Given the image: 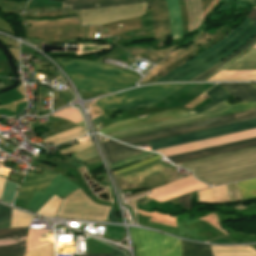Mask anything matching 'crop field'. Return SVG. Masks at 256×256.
Here are the masks:
<instances>
[{
	"instance_id": "crop-field-31",
	"label": "crop field",
	"mask_w": 256,
	"mask_h": 256,
	"mask_svg": "<svg viewBox=\"0 0 256 256\" xmlns=\"http://www.w3.org/2000/svg\"><path fill=\"white\" fill-rule=\"evenodd\" d=\"M111 249H112L113 256H125V253H123V252H121V251H119L117 249H114L112 247H111Z\"/></svg>"
},
{
	"instance_id": "crop-field-16",
	"label": "crop field",
	"mask_w": 256,
	"mask_h": 256,
	"mask_svg": "<svg viewBox=\"0 0 256 256\" xmlns=\"http://www.w3.org/2000/svg\"><path fill=\"white\" fill-rule=\"evenodd\" d=\"M151 8L154 38L160 41L165 39L169 30V17L165 0H146Z\"/></svg>"
},
{
	"instance_id": "crop-field-15",
	"label": "crop field",
	"mask_w": 256,
	"mask_h": 256,
	"mask_svg": "<svg viewBox=\"0 0 256 256\" xmlns=\"http://www.w3.org/2000/svg\"><path fill=\"white\" fill-rule=\"evenodd\" d=\"M256 146V138L243 141L233 142L229 144L219 145L215 147L205 148L201 150L191 151L187 153L168 156L171 161L178 163L187 160L197 159L201 157L211 156L215 154L225 153L229 151L239 150L243 148Z\"/></svg>"
},
{
	"instance_id": "crop-field-7",
	"label": "crop field",
	"mask_w": 256,
	"mask_h": 256,
	"mask_svg": "<svg viewBox=\"0 0 256 256\" xmlns=\"http://www.w3.org/2000/svg\"><path fill=\"white\" fill-rule=\"evenodd\" d=\"M55 59L57 61L73 60V61L80 62V63H77V62L59 61L68 72L98 79V80L119 86L123 89L132 87L140 80V77L136 75H133L124 70L117 69V68L110 67L103 64L81 61L76 59H66V58H55ZM113 73L121 74L124 77L115 75Z\"/></svg>"
},
{
	"instance_id": "crop-field-9",
	"label": "crop field",
	"mask_w": 256,
	"mask_h": 256,
	"mask_svg": "<svg viewBox=\"0 0 256 256\" xmlns=\"http://www.w3.org/2000/svg\"><path fill=\"white\" fill-rule=\"evenodd\" d=\"M109 207L94 203L82 189L66 197L56 216L77 220L105 221Z\"/></svg>"
},
{
	"instance_id": "crop-field-30",
	"label": "crop field",
	"mask_w": 256,
	"mask_h": 256,
	"mask_svg": "<svg viewBox=\"0 0 256 256\" xmlns=\"http://www.w3.org/2000/svg\"><path fill=\"white\" fill-rule=\"evenodd\" d=\"M107 220L119 222L117 219L116 213L114 211L113 205H111Z\"/></svg>"
},
{
	"instance_id": "crop-field-24",
	"label": "crop field",
	"mask_w": 256,
	"mask_h": 256,
	"mask_svg": "<svg viewBox=\"0 0 256 256\" xmlns=\"http://www.w3.org/2000/svg\"><path fill=\"white\" fill-rule=\"evenodd\" d=\"M189 15V32L195 29L202 17L200 0H185Z\"/></svg>"
},
{
	"instance_id": "crop-field-4",
	"label": "crop field",
	"mask_w": 256,
	"mask_h": 256,
	"mask_svg": "<svg viewBox=\"0 0 256 256\" xmlns=\"http://www.w3.org/2000/svg\"><path fill=\"white\" fill-rule=\"evenodd\" d=\"M183 85L184 84H159L140 87L124 93L102 98L98 100L97 105L104 111L153 107ZM117 100H124V102L109 103V101Z\"/></svg>"
},
{
	"instance_id": "crop-field-17",
	"label": "crop field",
	"mask_w": 256,
	"mask_h": 256,
	"mask_svg": "<svg viewBox=\"0 0 256 256\" xmlns=\"http://www.w3.org/2000/svg\"><path fill=\"white\" fill-rule=\"evenodd\" d=\"M108 158L109 164L116 163L123 159L143 153L144 151L136 150L130 146L119 144L113 140L102 144Z\"/></svg>"
},
{
	"instance_id": "crop-field-22",
	"label": "crop field",
	"mask_w": 256,
	"mask_h": 256,
	"mask_svg": "<svg viewBox=\"0 0 256 256\" xmlns=\"http://www.w3.org/2000/svg\"><path fill=\"white\" fill-rule=\"evenodd\" d=\"M243 67H256V49H250L245 54L231 62L224 68H243ZM223 68V69H224ZM243 69H256V68H243ZM224 70H241V69H224Z\"/></svg>"
},
{
	"instance_id": "crop-field-35",
	"label": "crop field",
	"mask_w": 256,
	"mask_h": 256,
	"mask_svg": "<svg viewBox=\"0 0 256 256\" xmlns=\"http://www.w3.org/2000/svg\"><path fill=\"white\" fill-rule=\"evenodd\" d=\"M243 1H247V2L253 3L254 0H243Z\"/></svg>"
},
{
	"instance_id": "crop-field-33",
	"label": "crop field",
	"mask_w": 256,
	"mask_h": 256,
	"mask_svg": "<svg viewBox=\"0 0 256 256\" xmlns=\"http://www.w3.org/2000/svg\"><path fill=\"white\" fill-rule=\"evenodd\" d=\"M248 17L256 19V7L253 6L250 14L248 15Z\"/></svg>"
},
{
	"instance_id": "crop-field-12",
	"label": "crop field",
	"mask_w": 256,
	"mask_h": 256,
	"mask_svg": "<svg viewBox=\"0 0 256 256\" xmlns=\"http://www.w3.org/2000/svg\"><path fill=\"white\" fill-rule=\"evenodd\" d=\"M256 128V119L148 142L153 150ZM146 144V143H143ZM142 145V144H138ZM134 145V146H138Z\"/></svg>"
},
{
	"instance_id": "crop-field-28",
	"label": "crop field",
	"mask_w": 256,
	"mask_h": 256,
	"mask_svg": "<svg viewBox=\"0 0 256 256\" xmlns=\"http://www.w3.org/2000/svg\"><path fill=\"white\" fill-rule=\"evenodd\" d=\"M159 158H162V157L159 156V155H157V156H155V157H153V158H150V159L141 161V162H139V163L130 165V166H128V167H126V168H123V169H120V170H118V171H114L113 173H114V175H116V174H119V173L127 172V171H129V170L136 169V168H138V167H140V166H142V165H144V164H147V163H149V162H151V161H154V160H157V159H159Z\"/></svg>"
},
{
	"instance_id": "crop-field-25",
	"label": "crop field",
	"mask_w": 256,
	"mask_h": 256,
	"mask_svg": "<svg viewBox=\"0 0 256 256\" xmlns=\"http://www.w3.org/2000/svg\"><path fill=\"white\" fill-rule=\"evenodd\" d=\"M244 200L256 197V178L237 182Z\"/></svg>"
},
{
	"instance_id": "crop-field-37",
	"label": "crop field",
	"mask_w": 256,
	"mask_h": 256,
	"mask_svg": "<svg viewBox=\"0 0 256 256\" xmlns=\"http://www.w3.org/2000/svg\"><path fill=\"white\" fill-rule=\"evenodd\" d=\"M255 84V86H256V83H254Z\"/></svg>"
},
{
	"instance_id": "crop-field-2",
	"label": "crop field",
	"mask_w": 256,
	"mask_h": 256,
	"mask_svg": "<svg viewBox=\"0 0 256 256\" xmlns=\"http://www.w3.org/2000/svg\"><path fill=\"white\" fill-rule=\"evenodd\" d=\"M220 85L225 90H227L234 98L240 97L242 102L256 101V88L253 86L252 83H224V84H220ZM226 103H227V100H226L225 104ZM228 106H230V107H228ZM228 106L224 105V102H221V103H218V104H216V105L208 108L207 110H205L199 114H196V115L182 117V118L173 119V120L164 121V122L155 123V124H150V125H146V126L128 129V130L118 131V132L109 133V134H105V135L108 137H111L113 139H117V138H121V137H125V136H130V135H134V134H138V133H143V132H147V131H151V130H156V129H160V128H165V127H169V126H173V125H178V124H182V123H186V122L203 119V118H205L221 109H224L226 107H228V108L221 110L207 118L256 108V102H254L252 104L249 102L235 103V104H229Z\"/></svg>"
},
{
	"instance_id": "crop-field-3",
	"label": "crop field",
	"mask_w": 256,
	"mask_h": 256,
	"mask_svg": "<svg viewBox=\"0 0 256 256\" xmlns=\"http://www.w3.org/2000/svg\"><path fill=\"white\" fill-rule=\"evenodd\" d=\"M145 0H65V8H95L142 3ZM146 3L82 10L83 24H104L145 14Z\"/></svg>"
},
{
	"instance_id": "crop-field-6",
	"label": "crop field",
	"mask_w": 256,
	"mask_h": 256,
	"mask_svg": "<svg viewBox=\"0 0 256 256\" xmlns=\"http://www.w3.org/2000/svg\"><path fill=\"white\" fill-rule=\"evenodd\" d=\"M256 118V109L246 112H241L237 114L227 115L223 117H218L214 119H209L205 121L195 122L191 124H186L182 126H177L173 128L163 129L159 131H154L150 133H145L141 135L131 136L127 138L118 139L130 145L148 142L152 140H157L161 138L171 137L175 135H180L184 133L194 132L198 130H203L207 128L217 127L221 125L231 124L235 122H240L244 120Z\"/></svg>"
},
{
	"instance_id": "crop-field-13",
	"label": "crop field",
	"mask_w": 256,
	"mask_h": 256,
	"mask_svg": "<svg viewBox=\"0 0 256 256\" xmlns=\"http://www.w3.org/2000/svg\"><path fill=\"white\" fill-rule=\"evenodd\" d=\"M56 175L57 173L48 170L41 175L28 172L25 182L17 193L14 205L24 209L35 191L43 192Z\"/></svg>"
},
{
	"instance_id": "crop-field-19",
	"label": "crop field",
	"mask_w": 256,
	"mask_h": 256,
	"mask_svg": "<svg viewBox=\"0 0 256 256\" xmlns=\"http://www.w3.org/2000/svg\"><path fill=\"white\" fill-rule=\"evenodd\" d=\"M70 76L74 79L79 89L81 90H85L89 92H112V91L120 90L119 88H116L98 81L74 76L71 74Z\"/></svg>"
},
{
	"instance_id": "crop-field-34",
	"label": "crop field",
	"mask_w": 256,
	"mask_h": 256,
	"mask_svg": "<svg viewBox=\"0 0 256 256\" xmlns=\"http://www.w3.org/2000/svg\"><path fill=\"white\" fill-rule=\"evenodd\" d=\"M78 256H112L111 254H101V255H78Z\"/></svg>"
},
{
	"instance_id": "crop-field-27",
	"label": "crop field",
	"mask_w": 256,
	"mask_h": 256,
	"mask_svg": "<svg viewBox=\"0 0 256 256\" xmlns=\"http://www.w3.org/2000/svg\"><path fill=\"white\" fill-rule=\"evenodd\" d=\"M69 156H71V157H73V158L83 162V161H86L88 159L94 158L97 155H96L93 147L91 146L89 148H86L84 150L78 151V152H76L74 154H71Z\"/></svg>"
},
{
	"instance_id": "crop-field-38",
	"label": "crop field",
	"mask_w": 256,
	"mask_h": 256,
	"mask_svg": "<svg viewBox=\"0 0 256 256\" xmlns=\"http://www.w3.org/2000/svg\"><path fill=\"white\" fill-rule=\"evenodd\" d=\"M251 247V246H250Z\"/></svg>"
},
{
	"instance_id": "crop-field-11",
	"label": "crop field",
	"mask_w": 256,
	"mask_h": 256,
	"mask_svg": "<svg viewBox=\"0 0 256 256\" xmlns=\"http://www.w3.org/2000/svg\"><path fill=\"white\" fill-rule=\"evenodd\" d=\"M12 209L0 204V229L10 227ZM28 228L0 230V256H23Z\"/></svg>"
},
{
	"instance_id": "crop-field-20",
	"label": "crop field",
	"mask_w": 256,
	"mask_h": 256,
	"mask_svg": "<svg viewBox=\"0 0 256 256\" xmlns=\"http://www.w3.org/2000/svg\"><path fill=\"white\" fill-rule=\"evenodd\" d=\"M172 39L182 37L180 11L177 0H166Z\"/></svg>"
},
{
	"instance_id": "crop-field-21",
	"label": "crop field",
	"mask_w": 256,
	"mask_h": 256,
	"mask_svg": "<svg viewBox=\"0 0 256 256\" xmlns=\"http://www.w3.org/2000/svg\"><path fill=\"white\" fill-rule=\"evenodd\" d=\"M255 43H256V36L251 41H249L243 48H241L239 51H237L236 53H234L231 56L227 57L225 60H223L222 62L218 63L216 66L214 65L215 67L209 69L208 71L202 73L201 75L195 77L194 79H192L190 81H203V80H205L210 75H212L213 73H215L216 71H218L219 69L224 67L226 64H228L229 62H231L232 60L237 58L242 53H244L247 49H249Z\"/></svg>"
},
{
	"instance_id": "crop-field-29",
	"label": "crop field",
	"mask_w": 256,
	"mask_h": 256,
	"mask_svg": "<svg viewBox=\"0 0 256 256\" xmlns=\"http://www.w3.org/2000/svg\"><path fill=\"white\" fill-rule=\"evenodd\" d=\"M179 203L181 204V206H183V207H185L187 209H191L190 193L180 197L179 198Z\"/></svg>"
},
{
	"instance_id": "crop-field-26",
	"label": "crop field",
	"mask_w": 256,
	"mask_h": 256,
	"mask_svg": "<svg viewBox=\"0 0 256 256\" xmlns=\"http://www.w3.org/2000/svg\"><path fill=\"white\" fill-rule=\"evenodd\" d=\"M17 183L11 182V181H6L5 186H4V191L2 195V201L7 202L11 204L16 188H17Z\"/></svg>"
},
{
	"instance_id": "crop-field-8",
	"label": "crop field",
	"mask_w": 256,
	"mask_h": 256,
	"mask_svg": "<svg viewBox=\"0 0 256 256\" xmlns=\"http://www.w3.org/2000/svg\"><path fill=\"white\" fill-rule=\"evenodd\" d=\"M137 256H181L180 240L140 229H130Z\"/></svg>"
},
{
	"instance_id": "crop-field-10",
	"label": "crop field",
	"mask_w": 256,
	"mask_h": 256,
	"mask_svg": "<svg viewBox=\"0 0 256 256\" xmlns=\"http://www.w3.org/2000/svg\"><path fill=\"white\" fill-rule=\"evenodd\" d=\"M206 94L209 97H211L215 102L195 111L196 113H199L218 102H221L223 100L230 98L229 95L223 89H221L218 85L212 88L211 90H209L208 92H206ZM193 113L194 112L192 111H188L184 109H172L168 111L158 112L154 114H149L145 116L118 121L116 123H113L103 128L102 130H100V133L105 134V133L114 132L122 129H127V128L145 125L153 122L176 118L184 115H189Z\"/></svg>"
},
{
	"instance_id": "crop-field-1",
	"label": "crop field",
	"mask_w": 256,
	"mask_h": 256,
	"mask_svg": "<svg viewBox=\"0 0 256 256\" xmlns=\"http://www.w3.org/2000/svg\"><path fill=\"white\" fill-rule=\"evenodd\" d=\"M178 165L191 169L196 178L210 185L237 180L256 175V148Z\"/></svg>"
},
{
	"instance_id": "crop-field-18",
	"label": "crop field",
	"mask_w": 256,
	"mask_h": 256,
	"mask_svg": "<svg viewBox=\"0 0 256 256\" xmlns=\"http://www.w3.org/2000/svg\"><path fill=\"white\" fill-rule=\"evenodd\" d=\"M254 35H256V27L248 34L246 35L241 41H239L236 45H234L233 47H231L229 50H227L225 53H223L222 55H220L219 57L215 58L214 60L202 65L201 67L197 68L196 70L192 71L191 73H189L188 75L184 76L183 78H181L178 81H188L192 78H194L195 76L201 74L202 72L208 70L209 68L213 67L216 63L220 62L221 60H223L224 58H226L227 56L231 55L233 52H235L237 49H239L243 44H245L249 39H251ZM249 38V39H248ZM248 39L247 41H245L243 44H241L238 48H236L240 43H242L244 40ZM234 48H236L234 51H232ZM232 51V52H230ZM230 52V53H228ZM228 53V54H227ZM225 54H227L226 56H224ZM222 56H224L223 58H221ZM221 58V59H219ZM219 59V60H218Z\"/></svg>"
},
{
	"instance_id": "crop-field-23",
	"label": "crop field",
	"mask_w": 256,
	"mask_h": 256,
	"mask_svg": "<svg viewBox=\"0 0 256 256\" xmlns=\"http://www.w3.org/2000/svg\"><path fill=\"white\" fill-rule=\"evenodd\" d=\"M182 256H213L209 245L182 241Z\"/></svg>"
},
{
	"instance_id": "crop-field-32",
	"label": "crop field",
	"mask_w": 256,
	"mask_h": 256,
	"mask_svg": "<svg viewBox=\"0 0 256 256\" xmlns=\"http://www.w3.org/2000/svg\"><path fill=\"white\" fill-rule=\"evenodd\" d=\"M107 118L106 116H104L103 114L100 115L99 117L95 118L93 121L94 125L99 123L100 121H102L103 119Z\"/></svg>"
},
{
	"instance_id": "crop-field-5",
	"label": "crop field",
	"mask_w": 256,
	"mask_h": 256,
	"mask_svg": "<svg viewBox=\"0 0 256 256\" xmlns=\"http://www.w3.org/2000/svg\"><path fill=\"white\" fill-rule=\"evenodd\" d=\"M256 26V20L246 17L242 23L234 28L228 35H226L222 40L206 49L202 53L196 55L187 63L179 66L178 68L170 71L161 79L155 82L162 81H176L183 77L187 73L191 72L200 65L214 59L218 55L222 54L228 48L236 44L241 40L247 33H249ZM201 67V66H200Z\"/></svg>"
},
{
	"instance_id": "crop-field-36",
	"label": "crop field",
	"mask_w": 256,
	"mask_h": 256,
	"mask_svg": "<svg viewBox=\"0 0 256 256\" xmlns=\"http://www.w3.org/2000/svg\"><path fill=\"white\" fill-rule=\"evenodd\" d=\"M254 4H256V0L254 1Z\"/></svg>"
},
{
	"instance_id": "crop-field-14",
	"label": "crop field",
	"mask_w": 256,
	"mask_h": 256,
	"mask_svg": "<svg viewBox=\"0 0 256 256\" xmlns=\"http://www.w3.org/2000/svg\"><path fill=\"white\" fill-rule=\"evenodd\" d=\"M76 188L75 184L58 174L43 193L36 191L27 209L37 212L54 194L64 197Z\"/></svg>"
}]
</instances>
